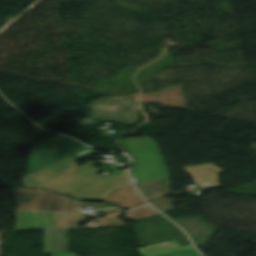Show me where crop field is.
I'll return each mask as SVG.
<instances>
[{"label": "crop field", "mask_w": 256, "mask_h": 256, "mask_svg": "<svg viewBox=\"0 0 256 256\" xmlns=\"http://www.w3.org/2000/svg\"><path fill=\"white\" fill-rule=\"evenodd\" d=\"M14 194L19 202L17 211L54 212L55 194L52 192L16 188Z\"/></svg>", "instance_id": "crop-field-1"}, {"label": "crop field", "mask_w": 256, "mask_h": 256, "mask_svg": "<svg viewBox=\"0 0 256 256\" xmlns=\"http://www.w3.org/2000/svg\"><path fill=\"white\" fill-rule=\"evenodd\" d=\"M16 231L58 229L54 213L17 212Z\"/></svg>", "instance_id": "crop-field-2"}, {"label": "crop field", "mask_w": 256, "mask_h": 256, "mask_svg": "<svg viewBox=\"0 0 256 256\" xmlns=\"http://www.w3.org/2000/svg\"><path fill=\"white\" fill-rule=\"evenodd\" d=\"M142 256H202L192 245L181 247L176 240L137 249Z\"/></svg>", "instance_id": "crop-field-3"}, {"label": "crop field", "mask_w": 256, "mask_h": 256, "mask_svg": "<svg viewBox=\"0 0 256 256\" xmlns=\"http://www.w3.org/2000/svg\"><path fill=\"white\" fill-rule=\"evenodd\" d=\"M106 201L129 210L145 204L133 187L115 191Z\"/></svg>", "instance_id": "crop-field-4"}, {"label": "crop field", "mask_w": 256, "mask_h": 256, "mask_svg": "<svg viewBox=\"0 0 256 256\" xmlns=\"http://www.w3.org/2000/svg\"><path fill=\"white\" fill-rule=\"evenodd\" d=\"M137 187L145 198L171 192L170 178L138 185Z\"/></svg>", "instance_id": "crop-field-5"}, {"label": "crop field", "mask_w": 256, "mask_h": 256, "mask_svg": "<svg viewBox=\"0 0 256 256\" xmlns=\"http://www.w3.org/2000/svg\"><path fill=\"white\" fill-rule=\"evenodd\" d=\"M59 229L79 228L77 223L86 222L84 214L55 213Z\"/></svg>", "instance_id": "crop-field-6"}, {"label": "crop field", "mask_w": 256, "mask_h": 256, "mask_svg": "<svg viewBox=\"0 0 256 256\" xmlns=\"http://www.w3.org/2000/svg\"><path fill=\"white\" fill-rule=\"evenodd\" d=\"M44 253H61L60 230L44 231Z\"/></svg>", "instance_id": "crop-field-7"}, {"label": "crop field", "mask_w": 256, "mask_h": 256, "mask_svg": "<svg viewBox=\"0 0 256 256\" xmlns=\"http://www.w3.org/2000/svg\"><path fill=\"white\" fill-rule=\"evenodd\" d=\"M80 203L56 194L55 212H78Z\"/></svg>", "instance_id": "crop-field-8"}, {"label": "crop field", "mask_w": 256, "mask_h": 256, "mask_svg": "<svg viewBox=\"0 0 256 256\" xmlns=\"http://www.w3.org/2000/svg\"><path fill=\"white\" fill-rule=\"evenodd\" d=\"M155 215H159V213H157L150 206H146V207L126 213V217L128 219L135 220V221L142 220Z\"/></svg>", "instance_id": "crop-field-9"}, {"label": "crop field", "mask_w": 256, "mask_h": 256, "mask_svg": "<svg viewBox=\"0 0 256 256\" xmlns=\"http://www.w3.org/2000/svg\"><path fill=\"white\" fill-rule=\"evenodd\" d=\"M155 208H157L160 212L164 213L170 210H173L171 205L174 200L164 199L163 196L148 200Z\"/></svg>", "instance_id": "crop-field-10"}, {"label": "crop field", "mask_w": 256, "mask_h": 256, "mask_svg": "<svg viewBox=\"0 0 256 256\" xmlns=\"http://www.w3.org/2000/svg\"><path fill=\"white\" fill-rule=\"evenodd\" d=\"M83 205L84 207L91 206L96 212L103 211L107 215L123 211V209H120L118 207H111L107 203H104L102 205L96 203H85Z\"/></svg>", "instance_id": "crop-field-11"}, {"label": "crop field", "mask_w": 256, "mask_h": 256, "mask_svg": "<svg viewBox=\"0 0 256 256\" xmlns=\"http://www.w3.org/2000/svg\"><path fill=\"white\" fill-rule=\"evenodd\" d=\"M121 215H117V216H113V217H109V218L98 219V222L101 227L127 226L124 224V222L122 220L119 219L121 217Z\"/></svg>", "instance_id": "crop-field-12"}, {"label": "crop field", "mask_w": 256, "mask_h": 256, "mask_svg": "<svg viewBox=\"0 0 256 256\" xmlns=\"http://www.w3.org/2000/svg\"><path fill=\"white\" fill-rule=\"evenodd\" d=\"M62 253L68 252V236L67 230H61Z\"/></svg>", "instance_id": "crop-field-13"}, {"label": "crop field", "mask_w": 256, "mask_h": 256, "mask_svg": "<svg viewBox=\"0 0 256 256\" xmlns=\"http://www.w3.org/2000/svg\"><path fill=\"white\" fill-rule=\"evenodd\" d=\"M51 256H75L73 253L52 254Z\"/></svg>", "instance_id": "crop-field-14"}]
</instances>
